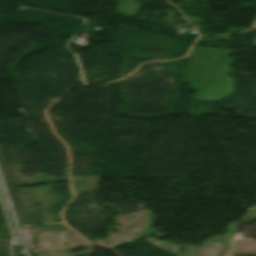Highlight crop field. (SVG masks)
<instances>
[{"instance_id":"obj_1","label":"crop field","mask_w":256,"mask_h":256,"mask_svg":"<svg viewBox=\"0 0 256 256\" xmlns=\"http://www.w3.org/2000/svg\"><path fill=\"white\" fill-rule=\"evenodd\" d=\"M63 232H42L39 249L36 250L38 256H52L53 249L60 248Z\"/></svg>"}]
</instances>
